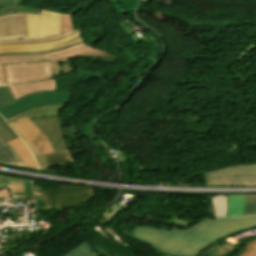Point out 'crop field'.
I'll list each match as a JSON object with an SVG mask.
<instances>
[{"mask_svg": "<svg viewBox=\"0 0 256 256\" xmlns=\"http://www.w3.org/2000/svg\"><path fill=\"white\" fill-rule=\"evenodd\" d=\"M256 226V216L217 219L199 223L189 231L141 227L132 236L169 254L197 256L219 238ZM192 246V249H190Z\"/></svg>", "mask_w": 256, "mask_h": 256, "instance_id": "crop-field-1", "label": "crop field"}, {"mask_svg": "<svg viewBox=\"0 0 256 256\" xmlns=\"http://www.w3.org/2000/svg\"><path fill=\"white\" fill-rule=\"evenodd\" d=\"M93 51L98 50L82 43L52 53L0 57V86L5 85L2 71L3 64L6 67L8 83L12 85L51 77L48 61Z\"/></svg>", "mask_w": 256, "mask_h": 256, "instance_id": "crop-field-2", "label": "crop field"}, {"mask_svg": "<svg viewBox=\"0 0 256 256\" xmlns=\"http://www.w3.org/2000/svg\"><path fill=\"white\" fill-rule=\"evenodd\" d=\"M206 185H256V164L203 173Z\"/></svg>", "mask_w": 256, "mask_h": 256, "instance_id": "crop-field-3", "label": "crop field"}, {"mask_svg": "<svg viewBox=\"0 0 256 256\" xmlns=\"http://www.w3.org/2000/svg\"><path fill=\"white\" fill-rule=\"evenodd\" d=\"M45 201L46 209L56 206L65 208L79 204L94 195V188L61 186L41 192Z\"/></svg>", "mask_w": 256, "mask_h": 256, "instance_id": "crop-field-4", "label": "crop field"}, {"mask_svg": "<svg viewBox=\"0 0 256 256\" xmlns=\"http://www.w3.org/2000/svg\"><path fill=\"white\" fill-rule=\"evenodd\" d=\"M71 94L72 93H63V92H43V93L28 95L0 109V114L4 119H7L30 107L39 106V105H50V104H67Z\"/></svg>", "mask_w": 256, "mask_h": 256, "instance_id": "crop-field-5", "label": "crop field"}, {"mask_svg": "<svg viewBox=\"0 0 256 256\" xmlns=\"http://www.w3.org/2000/svg\"><path fill=\"white\" fill-rule=\"evenodd\" d=\"M29 37L60 33L61 14L42 10L40 15L27 14Z\"/></svg>", "mask_w": 256, "mask_h": 256, "instance_id": "crop-field-6", "label": "crop field"}, {"mask_svg": "<svg viewBox=\"0 0 256 256\" xmlns=\"http://www.w3.org/2000/svg\"><path fill=\"white\" fill-rule=\"evenodd\" d=\"M12 123L26 136L39 155L54 152L48 140L26 116Z\"/></svg>", "mask_w": 256, "mask_h": 256, "instance_id": "crop-field-7", "label": "crop field"}, {"mask_svg": "<svg viewBox=\"0 0 256 256\" xmlns=\"http://www.w3.org/2000/svg\"><path fill=\"white\" fill-rule=\"evenodd\" d=\"M28 37L26 14L0 16V38Z\"/></svg>", "mask_w": 256, "mask_h": 256, "instance_id": "crop-field-8", "label": "crop field"}, {"mask_svg": "<svg viewBox=\"0 0 256 256\" xmlns=\"http://www.w3.org/2000/svg\"><path fill=\"white\" fill-rule=\"evenodd\" d=\"M50 141L54 151L66 149L59 117L45 118L32 121Z\"/></svg>", "mask_w": 256, "mask_h": 256, "instance_id": "crop-field-9", "label": "crop field"}, {"mask_svg": "<svg viewBox=\"0 0 256 256\" xmlns=\"http://www.w3.org/2000/svg\"><path fill=\"white\" fill-rule=\"evenodd\" d=\"M82 29L83 28H79L78 30H74L70 14H62L61 35L41 37V38H29V39L0 40V45L52 41V40L64 38L65 36H68L70 34H75L79 31H82Z\"/></svg>", "mask_w": 256, "mask_h": 256, "instance_id": "crop-field-10", "label": "crop field"}, {"mask_svg": "<svg viewBox=\"0 0 256 256\" xmlns=\"http://www.w3.org/2000/svg\"><path fill=\"white\" fill-rule=\"evenodd\" d=\"M14 97L17 99L42 91H56V80L55 78L49 80H43L39 82L24 83L20 85L9 86Z\"/></svg>", "mask_w": 256, "mask_h": 256, "instance_id": "crop-field-11", "label": "crop field"}, {"mask_svg": "<svg viewBox=\"0 0 256 256\" xmlns=\"http://www.w3.org/2000/svg\"><path fill=\"white\" fill-rule=\"evenodd\" d=\"M66 105H50V106H39L31 108L23 113L15 115L7 121L11 122L19 117L24 115H28L31 120L40 119L44 117H52V116H59V112L65 107Z\"/></svg>", "mask_w": 256, "mask_h": 256, "instance_id": "crop-field-12", "label": "crop field"}, {"mask_svg": "<svg viewBox=\"0 0 256 256\" xmlns=\"http://www.w3.org/2000/svg\"><path fill=\"white\" fill-rule=\"evenodd\" d=\"M81 37V32L75 35H71L61 40L47 42V43H37V44H24V45H4L0 46V51L5 50H33V49H42V48H49L54 47L60 44H64L70 41H73L77 38Z\"/></svg>", "mask_w": 256, "mask_h": 256, "instance_id": "crop-field-13", "label": "crop field"}, {"mask_svg": "<svg viewBox=\"0 0 256 256\" xmlns=\"http://www.w3.org/2000/svg\"><path fill=\"white\" fill-rule=\"evenodd\" d=\"M8 144L20 156L25 166L38 168L31 152L20 138L8 142Z\"/></svg>", "mask_w": 256, "mask_h": 256, "instance_id": "crop-field-14", "label": "crop field"}, {"mask_svg": "<svg viewBox=\"0 0 256 256\" xmlns=\"http://www.w3.org/2000/svg\"><path fill=\"white\" fill-rule=\"evenodd\" d=\"M0 164L4 165H20L24 166L19 156L12 150V148L0 139Z\"/></svg>", "mask_w": 256, "mask_h": 256, "instance_id": "crop-field-15", "label": "crop field"}, {"mask_svg": "<svg viewBox=\"0 0 256 256\" xmlns=\"http://www.w3.org/2000/svg\"><path fill=\"white\" fill-rule=\"evenodd\" d=\"M40 158L43 162L44 168H49V167L57 166L59 164L73 161L67 150L43 155V156H40Z\"/></svg>", "mask_w": 256, "mask_h": 256, "instance_id": "crop-field-16", "label": "crop field"}, {"mask_svg": "<svg viewBox=\"0 0 256 256\" xmlns=\"http://www.w3.org/2000/svg\"><path fill=\"white\" fill-rule=\"evenodd\" d=\"M213 218L227 217V195L212 196Z\"/></svg>", "mask_w": 256, "mask_h": 256, "instance_id": "crop-field-17", "label": "crop field"}, {"mask_svg": "<svg viewBox=\"0 0 256 256\" xmlns=\"http://www.w3.org/2000/svg\"><path fill=\"white\" fill-rule=\"evenodd\" d=\"M243 216V195H228V217Z\"/></svg>", "mask_w": 256, "mask_h": 256, "instance_id": "crop-field-18", "label": "crop field"}, {"mask_svg": "<svg viewBox=\"0 0 256 256\" xmlns=\"http://www.w3.org/2000/svg\"><path fill=\"white\" fill-rule=\"evenodd\" d=\"M63 256H97L89 248L87 242L77 246Z\"/></svg>", "mask_w": 256, "mask_h": 256, "instance_id": "crop-field-19", "label": "crop field"}, {"mask_svg": "<svg viewBox=\"0 0 256 256\" xmlns=\"http://www.w3.org/2000/svg\"><path fill=\"white\" fill-rule=\"evenodd\" d=\"M245 215H256V195H244Z\"/></svg>", "mask_w": 256, "mask_h": 256, "instance_id": "crop-field-20", "label": "crop field"}, {"mask_svg": "<svg viewBox=\"0 0 256 256\" xmlns=\"http://www.w3.org/2000/svg\"><path fill=\"white\" fill-rule=\"evenodd\" d=\"M20 137L21 139L26 143V145L30 148L31 152L33 153V155L35 156L37 163L39 165V168H42V163L41 160L39 158V156L37 155L34 147L30 144V142L24 137V135L12 124L10 123L9 125Z\"/></svg>", "mask_w": 256, "mask_h": 256, "instance_id": "crop-field-21", "label": "crop field"}, {"mask_svg": "<svg viewBox=\"0 0 256 256\" xmlns=\"http://www.w3.org/2000/svg\"><path fill=\"white\" fill-rule=\"evenodd\" d=\"M81 42H84L83 40H80L76 43H72V44H68L66 46H63L61 48H56V49H51V50H47V51H41V52H29V53H0V56H3V55H19V54H39V53H46V52H52V51H57V50H61L63 48H66V47H69V46H72V45H75V44H78V43H81Z\"/></svg>", "mask_w": 256, "mask_h": 256, "instance_id": "crop-field-22", "label": "crop field"}, {"mask_svg": "<svg viewBox=\"0 0 256 256\" xmlns=\"http://www.w3.org/2000/svg\"><path fill=\"white\" fill-rule=\"evenodd\" d=\"M0 138L4 142L15 139V137L0 123Z\"/></svg>", "mask_w": 256, "mask_h": 256, "instance_id": "crop-field-23", "label": "crop field"}, {"mask_svg": "<svg viewBox=\"0 0 256 256\" xmlns=\"http://www.w3.org/2000/svg\"><path fill=\"white\" fill-rule=\"evenodd\" d=\"M245 248L247 251L241 256H256V240L246 245Z\"/></svg>", "mask_w": 256, "mask_h": 256, "instance_id": "crop-field-24", "label": "crop field"}, {"mask_svg": "<svg viewBox=\"0 0 256 256\" xmlns=\"http://www.w3.org/2000/svg\"><path fill=\"white\" fill-rule=\"evenodd\" d=\"M11 103V100L4 90V87H0V108Z\"/></svg>", "mask_w": 256, "mask_h": 256, "instance_id": "crop-field-25", "label": "crop field"}, {"mask_svg": "<svg viewBox=\"0 0 256 256\" xmlns=\"http://www.w3.org/2000/svg\"><path fill=\"white\" fill-rule=\"evenodd\" d=\"M0 122L16 137V138H18V136L14 133V131L11 129V128H9L8 126H7V124L5 123V121H4V119L0 116Z\"/></svg>", "mask_w": 256, "mask_h": 256, "instance_id": "crop-field-26", "label": "crop field"}, {"mask_svg": "<svg viewBox=\"0 0 256 256\" xmlns=\"http://www.w3.org/2000/svg\"><path fill=\"white\" fill-rule=\"evenodd\" d=\"M80 39H82V38H79L77 40H80ZM77 40H75V41H77ZM75 41H73V42H75ZM70 43H72V42H70ZM64 45H66V44H64ZM61 46H63V45H60V46H57V47H61ZM54 48H56V47H54ZM42 50H46V49H42ZM34 51H41V50H34ZM5 52H28V51H5Z\"/></svg>", "mask_w": 256, "mask_h": 256, "instance_id": "crop-field-27", "label": "crop field"}, {"mask_svg": "<svg viewBox=\"0 0 256 256\" xmlns=\"http://www.w3.org/2000/svg\"><path fill=\"white\" fill-rule=\"evenodd\" d=\"M208 200H209V216H210V218H212V214H211V196H208Z\"/></svg>", "mask_w": 256, "mask_h": 256, "instance_id": "crop-field-28", "label": "crop field"}, {"mask_svg": "<svg viewBox=\"0 0 256 256\" xmlns=\"http://www.w3.org/2000/svg\"><path fill=\"white\" fill-rule=\"evenodd\" d=\"M3 71H4V79H5V83H6V85H8V83H7V78H6V73H5V67L3 66Z\"/></svg>", "mask_w": 256, "mask_h": 256, "instance_id": "crop-field-29", "label": "crop field"}, {"mask_svg": "<svg viewBox=\"0 0 256 256\" xmlns=\"http://www.w3.org/2000/svg\"><path fill=\"white\" fill-rule=\"evenodd\" d=\"M7 88H8V90H9V92H10V89H9V87L7 86ZM10 94H11V92H10ZM12 95V94H11ZM12 98H13V100L15 101V98L13 97V95H12Z\"/></svg>", "mask_w": 256, "mask_h": 256, "instance_id": "crop-field-30", "label": "crop field"}, {"mask_svg": "<svg viewBox=\"0 0 256 256\" xmlns=\"http://www.w3.org/2000/svg\"><path fill=\"white\" fill-rule=\"evenodd\" d=\"M5 89H6V91H7V88L5 87ZM7 93H8V91H7ZM9 94V93H8ZM10 95V94H9ZM11 97V96H10ZM12 99V98H11ZM13 101V100H12Z\"/></svg>", "mask_w": 256, "mask_h": 256, "instance_id": "crop-field-31", "label": "crop field"}]
</instances>
